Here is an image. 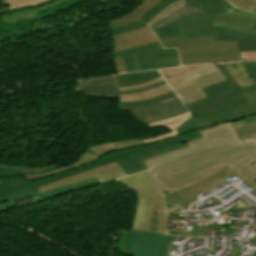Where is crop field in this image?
Instances as JSON below:
<instances>
[{
    "label": "crop field",
    "instance_id": "crop-field-1",
    "mask_svg": "<svg viewBox=\"0 0 256 256\" xmlns=\"http://www.w3.org/2000/svg\"><path fill=\"white\" fill-rule=\"evenodd\" d=\"M255 161L256 146L246 142L188 156L150 172L160 191L170 193L201 181L226 166L256 190V168L251 165Z\"/></svg>",
    "mask_w": 256,
    "mask_h": 256
},
{
    "label": "crop field",
    "instance_id": "crop-field-2",
    "mask_svg": "<svg viewBox=\"0 0 256 256\" xmlns=\"http://www.w3.org/2000/svg\"><path fill=\"white\" fill-rule=\"evenodd\" d=\"M200 132V131H199ZM199 132L179 135L165 141L110 153L96 162L67 171L66 173L28 182L23 176L1 179L0 211L15 207V201L38 195V187L116 161L127 175L146 170L142 160L186 147L185 142L200 138Z\"/></svg>",
    "mask_w": 256,
    "mask_h": 256
},
{
    "label": "crop field",
    "instance_id": "crop-field-3",
    "mask_svg": "<svg viewBox=\"0 0 256 256\" xmlns=\"http://www.w3.org/2000/svg\"><path fill=\"white\" fill-rule=\"evenodd\" d=\"M117 182L135 190L138 202L132 229L165 233L164 202L148 171H144Z\"/></svg>",
    "mask_w": 256,
    "mask_h": 256
},
{
    "label": "crop field",
    "instance_id": "crop-field-4",
    "mask_svg": "<svg viewBox=\"0 0 256 256\" xmlns=\"http://www.w3.org/2000/svg\"><path fill=\"white\" fill-rule=\"evenodd\" d=\"M163 48H178L182 65L241 61L236 42H213V37L162 38Z\"/></svg>",
    "mask_w": 256,
    "mask_h": 256
},
{
    "label": "crop field",
    "instance_id": "crop-field-5",
    "mask_svg": "<svg viewBox=\"0 0 256 256\" xmlns=\"http://www.w3.org/2000/svg\"><path fill=\"white\" fill-rule=\"evenodd\" d=\"M199 131L202 138L187 142L189 147L144 160L145 165L148 169H151L164 162L176 160L187 155L241 143L231 123L208 127Z\"/></svg>",
    "mask_w": 256,
    "mask_h": 256
},
{
    "label": "crop field",
    "instance_id": "crop-field-6",
    "mask_svg": "<svg viewBox=\"0 0 256 256\" xmlns=\"http://www.w3.org/2000/svg\"><path fill=\"white\" fill-rule=\"evenodd\" d=\"M214 65L227 80L202 88L208 98L186 105L194 117L219 112L229 107L247 103L239 93L242 89L233 78H230L222 64Z\"/></svg>",
    "mask_w": 256,
    "mask_h": 256
},
{
    "label": "crop field",
    "instance_id": "crop-field-7",
    "mask_svg": "<svg viewBox=\"0 0 256 256\" xmlns=\"http://www.w3.org/2000/svg\"><path fill=\"white\" fill-rule=\"evenodd\" d=\"M249 102L247 104L226 109L219 113L187 119L179 128L180 134L196 131L204 127L242 119L244 124L256 121V91L243 95Z\"/></svg>",
    "mask_w": 256,
    "mask_h": 256
},
{
    "label": "crop field",
    "instance_id": "crop-field-8",
    "mask_svg": "<svg viewBox=\"0 0 256 256\" xmlns=\"http://www.w3.org/2000/svg\"><path fill=\"white\" fill-rule=\"evenodd\" d=\"M176 236L146 231H126L124 252L132 256H168Z\"/></svg>",
    "mask_w": 256,
    "mask_h": 256
},
{
    "label": "crop field",
    "instance_id": "crop-field-9",
    "mask_svg": "<svg viewBox=\"0 0 256 256\" xmlns=\"http://www.w3.org/2000/svg\"><path fill=\"white\" fill-rule=\"evenodd\" d=\"M71 0H0V20L14 24L22 20L39 18L37 13Z\"/></svg>",
    "mask_w": 256,
    "mask_h": 256
},
{
    "label": "crop field",
    "instance_id": "crop-field-10",
    "mask_svg": "<svg viewBox=\"0 0 256 256\" xmlns=\"http://www.w3.org/2000/svg\"><path fill=\"white\" fill-rule=\"evenodd\" d=\"M176 0H167L163 4L159 5L155 10L150 12L143 21L147 23L155 14H157L160 10H162L164 7L169 5L170 3L174 2ZM185 2L193 7L202 9L204 11L195 13L193 15L187 16L185 18H182L172 24L165 25L157 30H155V34L157 38L161 37H175L181 30L178 26L185 24L187 22L193 21L195 19H198L200 17H203L205 15L211 14L213 12H216L220 9H223V7L227 3L225 0H185Z\"/></svg>",
    "mask_w": 256,
    "mask_h": 256
},
{
    "label": "crop field",
    "instance_id": "crop-field-11",
    "mask_svg": "<svg viewBox=\"0 0 256 256\" xmlns=\"http://www.w3.org/2000/svg\"><path fill=\"white\" fill-rule=\"evenodd\" d=\"M122 110H131L134 116L145 124L187 112L177 96L148 106L119 109Z\"/></svg>",
    "mask_w": 256,
    "mask_h": 256
},
{
    "label": "crop field",
    "instance_id": "crop-field-12",
    "mask_svg": "<svg viewBox=\"0 0 256 256\" xmlns=\"http://www.w3.org/2000/svg\"><path fill=\"white\" fill-rule=\"evenodd\" d=\"M131 56L136 71L180 66L175 49L145 52Z\"/></svg>",
    "mask_w": 256,
    "mask_h": 256
},
{
    "label": "crop field",
    "instance_id": "crop-field-13",
    "mask_svg": "<svg viewBox=\"0 0 256 256\" xmlns=\"http://www.w3.org/2000/svg\"><path fill=\"white\" fill-rule=\"evenodd\" d=\"M126 176L116 162L69 177L39 188V192L65 186L96 177L99 183L113 180L118 177Z\"/></svg>",
    "mask_w": 256,
    "mask_h": 256
},
{
    "label": "crop field",
    "instance_id": "crop-field-14",
    "mask_svg": "<svg viewBox=\"0 0 256 256\" xmlns=\"http://www.w3.org/2000/svg\"><path fill=\"white\" fill-rule=\"evenodd\" d=\"M159 72L163 75L170 87L202 78L211 74L218 73V69L213 64L161 69Z\"/></svg>",
    "mask_w": 256,
    "mask_h": 256
},
{
    "label": "crop field",
    "instance_id": "crop-field-15",
    "mask_svg": "<svg viewBox=\"0 0 256 256\" xmlns=\"http://www.w3.org/2000/svg\"><path fill=\"white\" fill-rule=\"evenodd\" d=\"M80 91L86 96L119 97L116 75L79 80L77 92Z\"/></svg>",
    "mask_w": 256,
    "mask_h": 256
},
{
    "label": "crop field",
    "instance_id": "crop-field-16",
    "mask_svg": "<svg viewBox=\"0 0 256 256\" xmlns=\"http://www.w3.org/2000/svg\"><path fill=\"white\" fill-rule=\"evenodd\" d=\"M223 66L243 89L241 95L256 90V61L223 63Z\"/></svg>",
    "mask_w": 256,
    "mask_h": 256
},
{
    "label": "crop field",
    "instance_id": "crop-field-17",
    "mask_svg": "<svg viewBox=\"0 0 256 256\" xmlns=\"http://www.w3.org/2000/svg\"><path fill=\"white\" fill-rule=\"evenodd\" d=\"M224 79L225 78L220 73H218L189 83L172 87V89L175 91L180 100L184 104H187L196 100L206 98L205 94L200 88Z\"/></svg>",
    "mask_w": 256,
    "mask_h": 256
},
{
    "label": "crop field",
    "instance_id": "crop-field-18",
    "mask_svg": "<svg viewBox=\"0 0 256 256\" xmlns=\"http://www.w3.org/2000/svg\"><path fill=\"white\" fill-rule=\"evenodd\" d=\"M256 22V14L231 8L220 14L215 25L248 33Z\"/></svg>",
    "mask_w": 256,
    "mask_h": 256
},
{
    "label": "crop field",
    "instance_id": "crop-field-19",
    "mask_svg": "<svg viewBox=\"0 0 256 256\" xmlns=\"http://www.w3.org/2000/svg\"><path fill=\"white\" fill-rule=\"evenodd\" d=\"M114 52L129 49L135 46L156 42L152 31L146 27L114 36Z\"/></svg>",
    "mask_w": 256,
    "mask_h": 256
},
{
    "label": "crop field",
    "instance_id": "crop-field-20",
    "mask_svg": "<svg viewBox=\"0 0 256 256\" xmlns=\"http://www.w3.org/2000/svg\"><path fill=\"white\" fill-rule=\"evenodd\" d=\"M229 171H231L228 168H223L220 171H218L217 173L213 174L212 176H210L209 178L196 183L194 185H191L187 188H184L182 190L167 194L164 196L165 199V203L169 204V203H175V202H180L182 200L188 199L190 197L193 196H197L201 193H203V191H201L199 188L211 183L212 181L220 178L221 176L225 175L226 173H228Z\"/></svg>",
    "mask_w": 256,
    "mask_h": 256
},
{
    "label": "crop field",
    "instance_id": "crop-field-21",
    "mask_svg": "<svg viewBox=\"0 0 256 256\" xmlns=\"http://www.w3.org/2000/svg\"><path fill=\"white\" fill-rule=\"evenodd\" d=\"M160 1H162V0H143L142 2H140L138 4V6L134 9V11L131 14L121 17V18H118V19H115L113 21H110L109 22L110 29L141 19L140 17L144 13H146L148 10H150L152 7H154Z\"/></svg>",
    "mask_w": 256,
    "mask_h": 256
},
{
    "label": "crop field",
    "instance_id": "crop-field-22",
    "mask_svg": "<svg viewBox=\"0 0 256 256\" xmlns=\"http://www.w3.org/2000/svg\"><path fill=\"white\" fill-rule=\"evenodd\" d=\"M161 75L157 70L154 71H142L130 74L117 75L119 87L121 86H133L141 84L150 79L160 77Z\"/></svg>",
    "mask_w": 256,
    "mask_h": 256
},
{
    "label": "crop field",
    "instance_id": "crop-field-23",
    "mask_svg": "<svg viewBox=\"0 0 256 256\" xmlns=\"http://www.w3.org/2000/svg\"><path fill=\"white\" fill-rule=\"evenodd\" d=\"M225 7H227V8H225V9H223V10H221V11H218V12H216V13H213V14H211V15L205 16V17H203V18H200V19H198V20H195V21H193V22H190V23H187V24H185V25L180 26V27L183 28L184 30H183L182 32H180L176 37H183V36H185L186 34H188V33H190V32H194V31L203 29V28H205V27L214 25V23H215V21H216L218 15H219L221 12H223V11H225V10L231 8L232 5L229 4V5L225 6Z\"/></svg>",
    "mask_w": 256,
    "mask_h": 256
},
{
    "label": "crop field",
    "instance_id": "crop-field-24",
    "mask_svg": "<svg viewBox=\"0 0 256 256\" xmlns=\"http://www.w3.org/2000/svg\"><path fill=\"white\" fill-rule=\"evenodd\" d=\"M220 35H238L243 37H249L256 39V31L250 29L249 33H242L234 30L224 29L222 27L212 26L206 29L191 33L185 37H194V36H220Z\"/></svg>",
    "mask_w": 256,
    "mask_h": 256
},
{
    "label": "crop field",
    "instance_id": "crop-field-25",
    "mask_svg": "<svg viewBox=\"0 0 256 256\" xmlns=\"http://www.w3.org/2000/svg\"><path fill=\"white\" fill-rule=\"evenodd\" d=\"M98 157L93 155L92 153H90L89 151H86L84 152L79 158L78 160L67 166V167H62L60 169H57L55 171H52V172H49L47 174H44V175H41V176H33V177H28V176H24L28 181L30 180H34V179H38V178H43V177H47V176H50V175H54V174H58V173H62V172H65L67 170H70V169H73L75 167H78V166H81V165H84V164H89V163H92L94 162L95 160H97Z\"/></svg>",
    "mask_w": 256,
    "mask_h": 256
},
{
    "label": "crop field",
    "instance_id": "crop-field-26",
    "mask_svg": "<svg viewBox=\"0 0 256 256\" xmlns=\"http://www.w3.org/2000/svg\"><path fill=\"white\" fill-rule=\"evenodd\" d=\"M162 49L159 42L114 53L115 57L123 56L127 72L135 71L130 54Z\"/></svg>",
    "mask_w": 256,
    "mask_h": 256
},
{
    "label": "crop field",
    "instance_id": "crop-field-27",
    "mask_svg": "<svg viewBox=\"0 0 256 256\" xmlns=\"http://www.w3.org/2000/svg\"><path fill=\"white\" fill-rule=\"evenodd\" d=\"M234 129L237 132V135L241 142L252 139L256 137V122L248 124L246 126L243 125L242 121H233L231 122Z\"/></svg>",
    "mask_w": 256,
    "mask_h": 256
},
{
    "label": "crop field",
    "instance_id": "crop-field-28",
    "mask_svg": "<svg viewBox=\"0 0 256 256\" xmlns=\"http://www.w3.org/2000/svg\"><path fill=\"white\" fill-rule=\"evenodd\" d=\"M256 30V24L252 27ZM214 41H238L240 51H256V40L237 36L214 37Z\"/></svg>",
    "mask_w": 256,
    "mask_h": 256
},
{
    "label": "crop field",
    "instance_id": "crop-field-29",
    "mask_svg": "<svg viewBox=\"0 0 256 256\" xmlns=\"http://www.w3.org/2000/svg\"><path fill=\"white\" fill-rule=\"evenodd\" d=\"M171 91V88L165 84L163 86H160L158 88L146 91V92H142V93H138V94H132V95H124V96H120V101H124V102H128V101H137V100H141V99H146V98H150L165 92Z\"/></svg>",
    "mask_w": 256,
    "mask_h": 256
},
{
    "label": "crop field",
    "instance_id": "crop-field-30",
    "mask_svg": "<svg viewBox=\"0 0 256 256\" xmlns=\"http://www.w3.org/2000/svg\"><path fill=\"white\" fill-rule=\"evenodd\" d=\"M199 11H202V10H199V9H196V8H193V7H190V6H185L184 8L180 9L179 11L171 14L170 16L162 19L161 21H159L157 24H153L154 26L150 27L152 28L153 30L162 26V25H165V24H168V23H172L182 17H185L187 15H190L192 13H195V12H199ZM193 15V14H192Z\"/></svg>",
    "mask_w": 256,
    "mask_h": 256
},
{
    "label": "crop field",
    "instance_id": "crop-field-31",
    "mask_svg": "<svg viewBox=\"0 0 256 256\" xmlns=\"http://www.w3.org/2000/svg\"><path fill=\"white\" fill-rule=\"evenodd\" d=\"M59 167L60 166H55V165H51L44 168H24V167L10 166L7 172H14V173H20V174L32 176V175L44 174L46 172L57 169Z\"/></svg>",
    "mask_w": 256,
    "mask_h": 256
},
{
    "label": "crop field",
    "instance_id": "crop-field-32",
    "mask_svg": "<svg viewBox=\"0 0 256 256\" xmlns=\"http://www.w3.org/2000/svg\"><path fill=\"white\" fill-rule=\"evenodd\" d=\"M186 4L184 2V0H178L174 3H172L171 5L167 6L166 8H164L162 11H160L157 15H155L148 23L147 25L150 27L153 24L157 23L159 20H161L162 18L166 17L167 15L175 12L176 10L184 7Z\"/></svg>",
    "mask_w": 256,
    "mask_h": 256
},
{
    "label": "crop field",
    "instance_id": "crop-field-33",
    "mask_svg": "<svg viewBox=\"0 0 256 256\" xmlns=\"http://www.w3.org/2000/svg\"><path fill=\"white\" fill-rule=\"evenodd\" d=\"M97 183H98V181L96 180V178H94V179H90V180L83 181V182H80V183L72 184V185H69V186H65V187L54 189V190L42 192L39 195L43 196L44 198H48V197H51L53 195H56V194H59V193H62V192H66V191H69V190H72V189H75V188H79V187H83V186H87V185H91V184H97Z\"/></svg>",
    "mask_w": 256,
    "mask_h": 256
},
{
    "label": "crop field",
    "instance_id": "crop-field-34",
    "mask_svg": "<svg viewBox=\"0 0 256 256\" xmlns=\"http://www.w3.org/2000/svg\"><path fill=\"white\" fill-rule=\"evenodd\" d=\"M175 96V94L173 93V91L150 98V99H146V100H142V101H137V102H129V103H123L120 102L119 103V108H123V107H136V106H140V105H148V104H152V103H156L159 102L163 99L169 98Z\"/></svg>",
    "mask_w": 256,
    "mask_h": 256
},
{
    "label": "crop field",
    "instance_id": "crop-field-35",
    "mask_svg": "<svg viewBox=\"0 0 256 256\" xmlns=\"http://www.w3.org/2000/svg\"><path fill=\"white\" fill-rule=\"evenodd\" d=\"M182 121H178V122H175V123H170V124H166V125H162L164 126L165 128L171 130L172 132H169V133H165V134H162L160 136H157V137H153V138H149V139H144L142 140L145 144H149V143H153V142H157V141H161V140H165L167 138H170V137H173V136H177L179 135L177 133V131L175 130L182 122Z\"/></svg>",
    "mask_w": 256,
    "mask_h": 256
},
{
    "label": "crop field",
    "instance_id": "crop-field-36",
    "mask_svg": "<svg viewBox=\"0 0 256 256\" xmlns=\"http://www.w3.org/2000/svg\"><path fill=\"white\" fill-rule=\"evenodd\" d=\"M204 229L205 227H193L192 232L168 229V233L184 237H208V234L202 233Z\"/></svg>",
    "mask_w": 256,
    "mask_h": 256
},
{
    "label": "crop field",
    "instance_id": "crop-field-37",
    "mask_svg": "<svg viewBox=\"0 0 256 256\" xmlns=\"http://www.w3.org/2000/svg\"><path fill=\"white\" fill-rule=\"evenodd\" d=\"M116 150H117V148L113 142L104 144V145H99V146L89 149L90 152L94 153L95 155H97L99 157L104 156V155H106L110 152L116 151Z\"/></svg>",
    "mask_w": 256,
    "mask_h": 256
},
{
    "label": "crop field",
    "instance_id": "crop-field-38",
    "mask_svg": "<svg viewBox=\"0 0 256 256\" xmlns=\"http://www.w3.org/2000/svg\"><path fill=\"white\" fill-rule=\"evenodd\" d=\"M147 26L142 20L130 23L128 25H124V26H120L114 29H111L113 35H117L129 30H133V29H137V28H141V27H145Z\"/></svg>",
    "mask_w": 256,
    "mask_h": 256
},
{
    "label": "crop field",
    "instance_id": "crop-field-39",
    "mask_svg": "<svg viewBox=\"0 0 256 256\" xmlns=\"http://www.w3.org/2000/svg\"><path fill=\"white\" fill-rule=\"evenodd\" d=\"M228 1H230L235 6L248 11L254 12L256 8V0H228Z\"/></svg>",
    "mask_w": 256,
    "mask_h": 256
},
{
    "label": "crop field",
    "instance_id": "crop-field-40",
    "mask_svg": "<svg viewBox=\"0 0 256 256\" xmlns=\"http://www.w3.org/2000/svg\"><path fill=\"white\" fill-rule=\"evenodd\" d=\"M114 143L116 144L119 150L144 145V143L141 140H128Z\"/></svg>",
    "mask_w": 256,
    "mask_h": 256
},
{
    "label": "crop field",
    "instance_id": "crop-field-41",
    "mask_svg": "<svg viewBox=\"0 0 256 256\" xmlns=\"http://www.w3.org/2000/svg\"><path fill=\"white\" fill-rule=\"evenodd\" d=\"M188 117H190V113H189V112L186 113V114H183V115H179V116L170 118V119H166V120H162V121L150 123V124H148V125H149L150 127H154V126H158V125H161V124H166V123L178 121V120H181V119H185V118H188Z\"/></svg>",
    "mask_w": 256,
    "mask_h": 256
},
{
    "label": "crop field",
    "instance_id": "crop-field-42",
    "mask_svg": "<svg viewBox=\"0 0 256 256\" xmlns=\"http://www.w3.org/2000/svg\"><path fill=\"white\" fill-rule=\"evenodd\" d=\"M166 82L164 80L154 84V85H151L149 87H146V88H142V89H136V90H131V91H124V92H120V95H123V94H131V93H138V92H142V91H146V90H149V89H152V88H155V87H158L160 85H163L165 84Z\"/></svg>",
    "mask_w": 256,
    "mask_h": 256
},
{
    "label": "crop field",
    "instance_id": "crop-field-43",
    "mask_svg": "<svg viewBox=\"0 0 256 256\" xmlns=\"http://www.w3.org/2000/svg\"><path fill=\"white\" fill-rule=\"evenodd\" d=\"M162 80V77L160 78H157V79H153V80H150L148 82H145L141 85H137V86H133V87H122V88H119V91H123V90H131V89H136V88H141V87H146L148 85H151V84H154L158 81Z\"/></svg>",
    "mask_w": 256,
    "mask_h": 256
},
{
    "label": "crop field",
    "instance_id": "crop-field-44",
    "mask_svg": "<svg viewBox=\"0 0 256 256\" xmlns=\"http://www.w3.org/2000/svg\"><path fill=\"white\" fill-rule=\"evenodd\" d=\"M117 70L119 73H125V65L122 57L114 58Z\"/></svg>",
    "mask_w": 256,
    "mask_h": 256
},
{
    "label": "crop field",
    "instance_id": "crop-field-45",
    "mask_svg": "<svg viewBox=\"0 0 256 256\" xmlns=\"http://www.w3.org/2000/svg\"><path fill=\"white\" fill-rule=\"evenodd\" d=\"M9 166H3L0 165V177L6 178V177H14L19 176L20 174H14V173H5Z\"/></svg>",
    "mask_w": 256,
    "mask_h": 256
},
{
    "label": "crop field",
    "instance_id": "crop-field-46",
    "mask_svg": "<svg viewBox=\"0 0 256 256\" xmlns=\"http://www.w3.org/2000/svg\"><path fill=\"white\" fill-rule=\"evenodd\" d=\"M243 60L256 59V52H240Z\"/></svg>",
    "mask_w": 256,
    "mask_h": 256
},
{
    "label": "crop field",
    "instance_id": "crop-field-47",
    "mask_svg": "<svg viewBox=\"0 0 256 256\" xmlns=\"http://www.w3.org/2000/svg\"><path fill=\"white\" fill-rule=\"evenodd\" d=\"M251 142L255 143L256 144V139L255 140H251Z\"/></svg>",
    "mask_w": 256,
    "mask_h": 256
},
{
    "label": "crop field",
    "instance_id": "crop-field-48",
    "mask_svg": "<svg viewBox=\"0 0 256 256\" xmlns=\"http://www.w3.org/2000/svg\"><path fill=\"white\" fill-rule=\"evenodd\" d=\"M255 13H256V10H255Z\"/></svg>",
    "mask_w": 256,
    "mask_h": 256
},
{
    "label": "crop field",
    "instance_id": "crop-field-49",
    "mask_svg": "<svg viewBox=\"0 0 256 256\" xmlns=\"http://www.w3.org/2000/svg\"><path fill=\"white\" fill-rule=\"evenodd\" d=\"M84 1H86V0H84Z\"/></svg>",
    "mask_w": 256,
    "mask_h": 256
},
{
    "label": "crop field",
    "instance_id": "crop-field-50",
    "mask_svg": "<svg viewBox=\"0 0 256 256\" xmlns=\"http://www.w3.org/2000/svg\"><path fill=\"white\" fill-rule=\"evenodd\" d=\"M1 182V181H0Z\"/></svg>",
    "mask_w": 256,
    "mask_h": 256
}]
</instances>
